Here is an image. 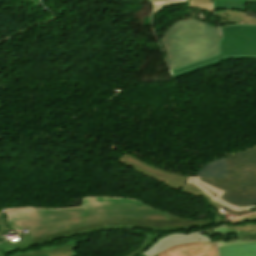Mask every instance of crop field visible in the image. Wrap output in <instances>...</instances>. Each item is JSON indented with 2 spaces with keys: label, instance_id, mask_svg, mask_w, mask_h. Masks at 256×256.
Here are the masks:
<instances>
[{
  "label": "crop field",
  "instance_id": "8a807250",
  "mask_svg": "<svg viewBox=\"0 0 256 256\" xmlns=\"http://www.w3.org/2000/svg\"><path fill=\"white\" fill-rule=\"evenodd\" d=\"M8 222L15 221L19 231L27 229L31 239L110 219H165L168 213L125 197H86L82 207L9 208Z\"/></svg>",
  "mask_w": 256,
  "mask_h": 256
},
{
  "label": "crop field",
  "instance_id": "ac0d7876",
  "mask_svg": "<svg viewBox=\"0 0 256 256\" xmlns=\"http://www.w3.org/2000/svg\"><path fill=\"white\" fill-rule=\"evenodd\" d=\"M214 224L211 217L202 221H194L190 219L180 218L174 214L169 213V221L164 220H111L100 222L70 231L49 235L45 237L32 239L34 244L22 246L18 248L9 249V256H36L46 253L48 256H79L76 249L79 248L80 243L91 241V238L85 240H76L64 242L56 246L45 247L32 250L30 252L21 251V249H28L33 245L64 239L69 237L81 236L111 229L123 228H144L154 232H169L191 227H202ZM128 234L141 235L145 237L142 247L130 252L126 256H136L146 250L152 243H154L161 235H150L138 231H128ZM162 234V233H161Z\"/></svg>",
  "mask_w": 256,
  "mask_h": 256
},
{
  "label": "crop field",
  "instance_id": "34b2d1b8",
  "mask_svg": "<svg viewBox=\"0 0 256 256\" xmlns=\"http://www.w3.org/2000/svg\"><path fill=\"white\" fill-rule=\"evenodd\" d=\"M219 38L218 27L187 19L174 23L159 40L172 70L216 55Z\"/></svg>",
  "mask_w": 256,
  "mask_h": 256
},
{
  "label": "crop field",
  "instance_id": "412701ff",
  "mask_svg": "<svg viewBox=\"0 0 256 256\" xmlns=\"http://www.w3.org/2000/svg\"><path fill=\"white\" fill-rule=\"evenodd\" d=\"M129 168L153 179L164 182L165 186L181 190L192 196H201L217 210L224 209L236 216L251 213L256 208V196H242L224 192L200 180V177H190L168 173L150 166L128 154L118 159Z\"/></svg>",
  "mask_w": 256,
  "mask_h": 256
},
{
  "label": "crop field",
  "instance_id": "f4fd0767",
  "mask_svg": "<svg viewBox=\"0 0 256 256\" xmlns=\"http://www.w3.org/2000/svg\"><path fill=\"white\" fill-rule=\"evenodd\" d=\"M222 38L219 54L201 61L172 70L174 79L202 67L219 64L221 60L250 58L256 59V25L242 23L220 27Z\"/></svg>",
  "mask_w": 256,
  "mask_h": 256
},
{
  "label": "crop field",
  "instance_id": "dd49c442",
  "mask_svg": "<svg viewBox=\"0 0 256 256\" xmlns=\"http://www.w3.org/2000/svg\"><path fill=\"white\" fill-rule=\"evenodd\" d=\"M228 178L202 180L228 192L256 195V147L227 157Z\"/></svg>",
  "mask_w": 256,
  "mask_h": 256
},
{
  "label": "crop field",
  "instance_id": "e52e79f7",
  "mask_svg": "<svg viewBox=\"0 0 256 256\" xmlns=\"http://www.w3.org/2000/svg\"><path fill=\"white\" fill-rule=\"evenodd\" d=\"M217 242V241H216ZM216 242L199 231L159 238L142 254L146 256H218Z\"/></svg>",
  "mask_w": 256,
  "mask_h": 256
},
{
  "label": "crop field",
  "instance_id": "d8731c3e",
  "mask_svg": "<svg viewBox=\"0 0 256 256\" xmlns=\"http://www.w3.org/2000/svg\"><path fill=\"white\" fill-rule=\"evenodd\" d=\"M214 233L237 234L238 238L230 241H221L218 246L256 242V225L247 224L246 226H224L214 229Z\"/></svg>",
  "mask_w": 256,
  "mask_h": 256
},
{
  "label": "crop field",
  "instance_id": "5a996713",
  "mask_svg": "<svg viewBox=\"0 0 256 256\" xmlns=\"http://www.w3.org/2000/svg\"><path fill=\"white\" fill-rule=\"evenodd\" d=\"M216 16L219 21L220 26L230 25V24H241L242 21L256 24V19H253L244 14L241 11H231V10H222L216 11Z\"/></svg>",
  "mask_w": 256,
  "mask_h": 256
},
{
  "label": "crop field",
  "instance_id": "3316defc",
  "mask_svg": "<svg viewBox=\"0 0 256 256\" xmlns=\"http://www.w3.org/2000/svg\"><path fill=\"white\" fill-rule=\"evenodd\" d=\"M219 256H256V243L218 247Z\"/></svg>",
  "mask_w": 256,
  "mask_h": 256
},
{
  "label": "crop field",
  "instance_id": "28ad6ade",
  "mask_svg": "<svg viewBox=\"0 0 256 256\" xmlns=\"http://www.w3.org/2000/svg\"><path fill=\"white\" fill-rule=\"evenodd\" d=\"M225 158L209 163L208 165L204 166L200 171H198L195 176H204L209 178L227 177Z\"/></svg>",
  "mask_w": 256,
  "mask_h": 256
},
{
  "label": "crop field",
  "instance_id": "d1516ede",
  "mask_svg": "<svg viewBox=\"0 0 256 256\" xmlns=\"http://www.w3.org/2000/svg\"><path fill=\"white\" fill-rule=\"evenodd\" d=\"M247 0H213L215 10L231 9V10H245Z\"/></svg>",
  "mask_w": 256,
  "mask_h": 256
},
{
  "label": "crop field",
  "instance_id": "22f410ed",
  "mask_svg": "<svg viewBox=\"0 0 256 256\" xmlns=\"http://www.w3.org/2000/svg\"><path fill=\"white\" fill-rule=\"evenodd\" d=\"M187 1L188 0H164L161 2H152L153 3L152 14L155 15L159 13L165 6L187 2Z\"/></svg>",
  "mask_w": 256,
  "mask_h": 256
},
{
  "label": "crop field",
  "instance_id": "cbeb9de0",
  "mask_svg": "<svg viewBox=\"0 0 256 256\" xmlns=\"http://www.w3.org/2000/svg\"><path fill=\"white\" fill-rule=\"evenodd\" d=\"M189 8H199V9H202V10H206L210 13H213L212 7L209 4L190 2Z\"/></svg>",
  "mask_w": 256,
  "mask_h": 256
},
{
  "label": "crop field",
  "instance_id": "5142ce71",
  "mask_svg": "<svg viewBox=\"0 0 256 256\" xmlns=\"http://www.w3.org/2000/svg\"><path fill=\"white\" fill-rule=\"evenodd\" d=\"M246 220H256V213L233 219V220L230 221V223L244 222Z\"/></svg>",
  "mask_w": 256,
  "mask_h": 256
},
{
  "label": "crop field",
  "instance_id": "d9b57169",
  "mask_svg": "<svg viewBox=\"0 0 256 256\" xmlns=\"http://www.w3.org/2000/svg\"><path fill=\"white\" fill-rule=\"evenodd\" d=\"M201 201H202V200H201ZM202 202H203V201H202ZM203 203H204L205 206L208 208L209 212H210V213H213V214L215 215L216 223H217V224L224 223V221H223V219L220 217V215H218V214L215 212V210H213V209L211 208L210 205L206 204L205 202H203Z\"/></svg>",
  "mask_w": 256,
  "mask_h": 256
},
{
  "label": "crop field",
  "instance_id": "733c2abd",
  "mask_svg": "<svg viewBox=\"0 0 256 256\" xmlns=\"http://www.w3.org/2000/svg\"><path fill=\"white\" fill-rule=\"evenodd\" d=\"M151 1H160V0H151ZM189 1H196V2H203L211 4V0H189Z\"/></svg>",
  "mask_w": 256,
  "mask_h": 256
},
{
  "label": "crop field",
  "instance_id": "4a817a6b",
  "mask_svg": "<svg viewBox=\"0 0 256 256\" xmlns=\"http://www.w3.org/2000/svg\"><path fill=\"white\" fill-rule=\"evenodd\" d=\"M205 233H213V229L212 230H206L204 231Z\"/></svg>",
  "mask_w": 256,
  "mask_h": 256
},
{
  "label": "crop field",
  "instance_id": "bc2a9ffb",
  "mask_svg": "<svg viewBox=\"0 0 256 256\" xmlns=\"http://www.w3.org/2000/svg\"><path fill=\"white\" fill-rule=\"evenodd\" d=\"M248 3H256V0H248Z\"/></svg>",
  "mask_w": 256,
  "mask_h": 256
},
{
  "label": "crop field",
  "instance_id": "214f88e0",
  "mask_svg": "<svg viewBox=\"0 0 256 256\" xmlns=\"http://www.w3.org/2000/svg\"><path fill=\"white\" fill-rule=\"evenodd\" d=\"M40 256H47L46 254H44V255H40Z\"/></svg>",
  "mask_w": 256,
  "mask_h": 256
},
{
  "label": "crop field",
  "instance_id": "92a150f3",
  "mask_svg": "<svg viewBox=\"0 0 256 256\" xmlns=\"http://www.w3.org/2000/svg\"><path fill=\"white\" fill-rule=\"evenodd\" d=\"M138 256H144V255L140 254V255H138Z\"/></svg>",
  "mask_w": 256,
  "mask_h": 256
},
{
  "label": "crop field",
  "instance_id": "dafd665d",
  "mask_svg": "<svg viewBox=\"0 0 256 256\" xmlns=\"http://www.w3.org/2000/svg\"><path fill=\"white\" fill-rule=\"evenodd\" d=\"M1 213V212H0Z\"/></svg>",
  "mask_w": 256,
  "mask_h": 256
}]
</instances>
